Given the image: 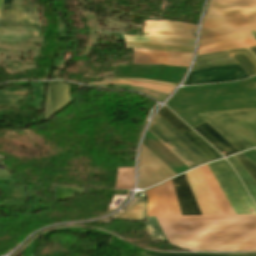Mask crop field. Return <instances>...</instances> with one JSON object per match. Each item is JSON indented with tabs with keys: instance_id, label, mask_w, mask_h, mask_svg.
Wrapping results in <instances>:
<instances>
[{
	"instance_id": "d9b57169",
	"label": "crop field",
	"mask_w": 256,
	"mask_h": 256,
	"mask_svg": "<svg viewBox=\"0 0 256 256\" xmlns=\"http://www.w3.org/2000/svg\"><path fill=\"white\" fill-rule=\"evenodd\" d=\"M145 194L148 200L147 216L170 215L163 184Z\"/></svg>"
},
{
	"instance_id": "a9b5d70f",
	"label": "crop field",
	"mask_w": 256,
	"mask_h": 256,
	"mask_svg": "<svg viewBox=\"0 0 256 256\" xmlns=\"http://www.w3.org/2000/svg\"><path fill=\"white\" fill-rule=\"evenodd\" d=\"M251 38H254V37L249 32L215 37V38L204 39V40L200 41L199 47L213 45V44H219V43H225V42H231V41L251 39Z\"/></svg>"
},
{
	"instance_id": "730fd06b",
	"label": "crop field",
	"mask_w": 256,
	"mask_h": 256,
	"mask_svg": "<svg viewBox=\"0 0 256 256\" xmlns=\"http://www.w3.org/2000/svg\"><path fill=\"white\" fill-rule=\"evenodd\" d=\"M167 123H169L180 134L190 129L180 119H178L172 112L166 107H163L158 113Z\"/></svg>"
},
{
	"instance_id": "e52e79f7",
	"label": "crop field",
	"mask_w": 256,
	"mask_h": 256,
	"mask_svg": "<svg viewBox=\"0 0 256 256\" xmlns=\"http://www.w3.org/2000/svg\"><path fill=\"white\" fill-rule=\"evenodd\" d=\"M173 175L175 173L172 170L142 145L138 180L141 189L157 184Z\"/></svg>"
},
{
	"instance_id": "cbeb9de0",
	"label": "crop field",
	"mask_w": 256,
	"mask_h": 256,
	"mask_svg": "<svg viewBox=\"0 0 256 256\" xmlns=\"http://www.w3.org/2000/svg\"><path fill=\"white\" fill-rule=\"evenodd\" d=\"M151 36L189 38L192 25L167 21H148Z\"/></svg>"
},
{
	"instance_id": "dafd665d",
	"label": "crop field",
	"mask_w": 256,
	"mask_h": 256,
	"mask_svg": "<svg viewBox=\"0 0 256 256\" xmlns=\"http://www.w3.org/2000/svg\"><path fill=\"white\" fill-rule=\"evenodd\" d=\"M251 46H256L255 39L231 42V43H225V44H219V45H213V46H207V47H201V48H199L197 55L218 52V51H224V50L245 48V47H251Z\"/></svg>"
},
{
	"instance_id": "bd1437ed",
	"label": "crop field",
	"mask_w": 256,
	"mask_h": 256,
	"mask_svg": "<svg viewBox=\"0 0 256 256\" xmlns=\"http://www.w3.org/2000/svg\"><path fill=\"white\" fill-rule=\"evenodd\" d=\"M113 80H136V81L151 82V83H157V84H163V85H168V86L176 87L175 84L164 83V82H159V81H154V80H146V79L118 78V79H113ZM105 81H109V80H105Z\"/></svg>"
},
{
	"instance_id": "dd49c442",
	"label": "crop field",
	"mask_w": 256,
	"mask_h": 256,
	"mask_svg": "<svg viewBox=\"0 0 256 256\" xmlns=\"http://www.w3.org/2000/svg\"><path fill=\"white\" fill-rule=\"evenodd\" d=\"M229 52L250 76L256 74V47ZM229 52L197 56L191 71L237 63Z\"/></svg>"
},
{
	"instance_id": "5a996713",
	"label": "crop field",
	"mask_w": 256,
	"mask_h": 256,
	"mask_svg": "<svg viewBox=\"0 0 256 256\" xmlns=\"http://www.w3.org/2000/svg\"><path fill=\"white\" fill-rule=\"evenodd\" d=\"M203 215L222 214L200 169L185 173Z\"/></svg>"
},
{
	"instance_id": "733c2abd",
	"label": "crop field",
	"mask_w": 256,
	"mask_h": 256,
	"mask_svg": "<svg viewBox=\"0 0 256 256\" xmlns=\"http://www.w3.org/2000/svg\"><path fill=\"white\" fill-rule=\"evenodd\" d=\"M123 212L114 218L141 221L146 218V200L135 197Z\"/></svg>"
},
{
	"instance_id": "750c4746",
	"label": "crop field",
	"mask_w": 256,
	"mask_h": 256,
	"mask_svg": "<svg viewBox=\"0 0 256 256\" xmlns=\"http://www.w3.org/2000/svg\"><path fill=\"white\" fill-rule=\"evenodd\" d=\"M236 159L241 163V165L246 169V171L251 175V177L256 181V167L250 163L242 154L235 155Z\"/></svg>"
},
{
	"instance_id": "d1516ede",
	"label": "crop field",
	"mask_w": 256,
	"mask_h": 256,
	"mask_svg": "<svg viewBox=\"0 0 256 256\" xmlns=\"http://www.w3.org/2000/svg\"><path fill=\"white\" fill-rule=\"evenodd\" d=\"M69 91L70 87L59 81L49 82L44 120L49 119L67 106Z\"/></svg>"
},
{
	"instance_id": "3316defc",
	"label": "crop field",
	"mask_w": 256,
	"mask_h": 256,
	"mask_svg": "<svg viewBox=\"0 0 256 256\" xmlns=\"http://www.w3.org/2000/svg\"><path fill=\"white\" fill-rule=\"evenodd\" d=\"M192 54L134 50L133 64L188 66Z\"/></svg>"
},
{
	"instance_id": "ae1a2a85",
	"label": "crop field",
	"mask_w": 256,
	"mask_h": 256,
	"mask_svg": "<svg viewBox=\"0 0 256 256\" xmlns=\"http://www.w3.org/2000/svg\"><path fill=\"white\" fill-rule=\"evenodd\" d=\"M23 96H3V90H0V108L10 107L18 109Z\"/></svg>"
},
{
	"instance_id": "1d83c4d3",
	"label": "crop field",
	"mask_w": 256,
	"mask_h": 256,
	"mask_svg": "<svg viewBox=\"0 0 256 256\" xmlns=\"http://www.w3.org/2000/svg\"><path fill=\"white\" fill-rule=\"evenodd\" d=\"M13 0H3L2 5L12 6Z\"/></svg>"
},
{
	"instance_id": "4a817a6b",
	"label": "crop field",
	"mask_w": 256,
	"mask_h": 256,
	"mask_svg": "<svg viewBox=\"0 0 256 256\" xmlns=\"http://www.w3.org/2000/svg\"><path fill=\"white\" fill-rule=\"evenodd\" d=\"M200 168H201L223 214H234L232 208L230 207L229 203L227 202L225 196L223 195L221 189L219 188L214 177L212 176L211 172L209 171L207 165H204Z\"/></svg>"
},
{
	"instance_id": "00972430",
	"label": "crop field",
	"mask_w": 256,
	"mask_h": 256,
	"mask_svg": "<svg viewBox=\"0 0 256 256\" xmlns=\"http://www.w3.org/2000/svg\"><path fill=\"white\" fill-rule=\"evenodd\" d=\"M229 163L234 167L246 188L248 189L251 196L256 201V183L251 179V177L246 173V171L242 168L239 162L235 159L234 156L227 158Z\"/></svg>"
},
{
	"instance_id": "8a807250",
	"label": "crop field",
	"mask_w": 256,
	"mask_h": 256,
	"mask_svg": "<svg viewBox=\"0 0 256 256\" xmlns=\"http://www.w3.org/2000/svg\"><path fill=\"white\" fill-rule=\"evenodd\" d=\"M157 219L169 243L180 248L256 251V215L165 216Z\"/></svg>"
},
{
	"instance_id": "120bbe31",
	"label": "crop field",
	"mask_w": 256,
	"mask_h": 256,
	"mask_svg": "<svg viewBox=\"0 0 256 256\" xmlns=\"http://www.w3.org/2000/svg\"><path fill=\"white\" fill-rule=\"evenodd\" d=\"M256 38V32H250Z\"/></svg>"
},
{
	"instance_id": "214f88e0",
	"label": "crop field",
	"mask_w": 256,
	"mask_h": 256,
	"mask_svg": "<svg viewBox=\"0 0 256 256\" xmlns=\"http://www.w3.org/2000/svg\"><path fill=\"white\" fill-rule=\"evenodd\" d=\"M125 44L127 49L160 50V51H173V52H186V53H192L193 51V47H188V46L133 43V42H125Z\"/></svg>"
},
{
	"instance_id": "d8731c3e",
	"label": "crop field",
	"mask_w": 256,
	"mask_h": 256,
	"mask_svg": "<svg viewBox=\"0 0 256 256\" xmlns=\"http://www.w3.org/2000/svg\"><path fill=\"white\" fill-rule=\"evenodd\" d=\"M250 77L239 65H230L200 71L190 72L184 85L208 83V82H226Z\"/></svg>"
},
{
	"instance_id": "4177f3b9",
	"label": "crop field",
	"mask_w": 256,
	"mask_h": 256,
	"mask_svg": "<svg viewBox=\"0 0 256 256\" xmlns=\"http://www.w3.org/2000/svg\"><path fill=\"white\" fill-rule=\"evenodd\" d=\"M134 184L133 168H119L116 188L132 189Z\"/></svg>"
},
{
	"instance_id": "d3111659",
	"label": "crop field",
	"mask_w": 256,
	"mask_h": 256,
	"mask_svg": "<svg viewBox=\"0 0 256 256\" xmlns=\"http://www.w3.org/2000/svg\"><path fill=\"white\" fill-rule=\"evenodd\" d=\"M142 254L147 256H256V254H164L145 251Z\"/></svg>"
},
{
	"instance_id": "28ad6ade",
	"label": "crop field",
	"mask_w": 256,
	"mask_h": 256,
	"mask_svg": "<svg viewBox=\"0 0 256 256\" xmlns=\"http://www.w3.org/2000/svg\"><path fill=\"white\" fill-rule=\"evenodd\" d=\"M36 23V9L2 6L0 10V27H19L39 29Z\"/></svg>"
},
{
	"instance_id": "412701ff",
	"label": "crop field",
	"mask_w": 256,
	"mask_h": 256,
	"mask_svg": "<svg viewBox=\"0 0 256 256\" xmlns=\"http://www.w3.org/2000/svg\"><path fill=\"white\" fill-rule=\"evenodd\" d=\"M235 214H256V205L225 160L208 164Z\"/></svg>"
},
{
	"instance_id": "5142ce71",
	"label": "crop field",
	"mask_w": 256,
	"mask_h": 256,
	"mask_svg": "<svg viewBox=\"0 0 256 256\" xmlns=\"http://www.w3.org/2000/svg\"><path fill=\"white\" fill-rule=\"evenodd\" d=\"M192 129L195 130L199 135H201L218 152L224 150L227 155L238 152L236 148H234L228 141H226L219 133H217L206 122Z\"/></svg>"
},
{
	"instance_id": "22f410ed",
	"label": "crop field",
	"mask_w": 256,
	"mask_h": 256,
	"mask_svg": "<svg viewBox=\"0 0 256 256\" xmlns=\"http://www.w3.org/2000/svg\"><path fill=\"white\" fill-rule=\"evenodd\" d=\"M182 215H202L185 175L172 179Z\"/></svg>"
},
{
	"instance_id": "d32e631a",
	"label": "crop field",
	"mask_w": 256,
	"mask_h": 256,
	"mask_svg": "<svg viewBox=\"0 0 256 256\" xmlns=\"http://www.w3.org/2000/svg\"><path fill=\"white\" fill-rule=\"evenodd\" d=\"M2 0H0V7H1Z\"/></svg>"
},
{
	"instance_id": "ac0d7876",
	"label": "crop field",
	"mask_w": 256,
	"mask_h": 256,
	"mask_svg": "<svg viewBox=\"0 0 256 256\" xmlns=\"http://www.w3.org/2000/svg\"><path fill=\"white\" fill-rule=\"evenodd\" d=\"M211 1L202 24L200 38L256 30V8H246L256 7V0H213L212 4Z\"/></svg>"
},
{
	"instance_id": "f4fd0767",
	"label": "crop field",
	"mask_w": 256,
	"mask_h": 256,
	"mask_svg": "<svg viewBox=\"0 0 256 256\" xmlns=\"http://www.w3.org/2000/svg\"><path fill=\"white\" fill-rule=\"evenodd\" d=\"M148 131L151 134H153L166 147L172 144L176 149H178L194 165L190 161H188L172 145L167 147L174 154H176L188 167L193 165L189 167L190 169L200 164L208 162V160L205 157H203L195 148H193L184 138H182L173 128H171L157 114L153 118L148 128Z\"/></svg>"
},
{
	"instance_id": "bc2a9ffb",
	"label": "crop field",
	"mask_w": 256,
	"mask_h": 256,
	"mask_svg": "<svg viewBox=\"0 0 256 256\" xmlns=\"http://www.w3.org/2000/svg\"><path fill=\"white\" fill-rule=\"evenodd\" d=\"M181 135L209 161L221 158V156L214 149H212L201 137H199L191 129Z\"/></svg>"
},
{
	"instance_id": "92a150f3",
	"label": "crop field",
	"mask_w": 256,
	"mask_h": 256,
	"mask_svg": "<svg viewBox=\"0 0 256 256\" xmlns=\"http://www.w3.org/2000/svg\"><path fill=\"white\" fill-rule=\"evenodd\" d=\"M125 41L133 42H150V43H164V44H176V45H188L193 46L194 40L167 38V37H141V36H129L123 35Z\"/></svg>"
},
{
	"instance_id": "34b2d1b8",
	"label": "crop field",
	"mask_w": 256,
	"mask_h": 256,
	"mask_svg": "<svg viewBox=\"0 0 256 256\" xmlns=\"http://www.w3.org/2000/svg\"><path fill=\"white\" fill-rule=\"evenodd\" d=\"M239 151L256 147V109L199 115Z\"/></svg>"
},
{
	"instance_id": "eef30255",
	"label": "crop field",
	"mask_w": 256,
	"mask_h": 256,
	"mask_svg": "<svg viewBox=\"0 0 256 256\" xmlns=\"http://www.w3.org/2000/svg\"><path fill=\"white\" fill-rule=\"evenodd\" d=\"M164 184H165V190H166V194H167V199H168V204H169L171 215H181L179 206L177 203L175 191L173 188L172 180L170 179V180L164 182Z\"/></svg>"
}]
</instances>
